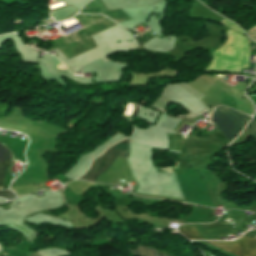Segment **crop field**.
I'll return each mask as SVG.
<instances>
[{"label":"crop field","instance_id":"10","mask_svg":"<svg viewBox=\"0 0 256 256\" xmlns=\"http://www.w3.org/2000/svg\"><path fill=\"white\" fill-rule=\"evenodd\" d=\"M0 196L6 197L8 199L14 198V194L10 191H0Z\"/></svg>","mask_w":256,"mask_h":256},{"label":"crop field","instance_id":"6","mask_svg":"<svg viewBox=\"0 0 256 256\" xmlns=\"http://www.w3.org/2000/svg\"><path fill=\"white\" fill-rule=\"evenodd\" d=\"M178 231L190 240H192V239L203 240L202 236L195 228L187 227V226H180L178 228Z\"/></svg>","mask_w":256,"mask_h":256},{"label":"crop field","instance_id":"12","mask_svg":"<svg viewBox=\"0 0 256 256\" xmlns=\"http://www.w3.org/2000/svg\"><path fill=\"white\" fill-rule=\"evenodd\" d=\"M29 256H40V255L35 252V253H33V254L29 255Z\"/></svg>","mask_w":256,"mask_h":256},{"label":"crop field","instance_id":"11","mask_svg":"<svg viewBox=\"0 0 256 256\" xmlns=\"http://www.w3.org/2000/svg\"><path fill=\"white\" fill-rule=\"evenodd\" d=\"M248 34L251 39L256 41V26L250 28Z\"/></svg>","mask_w":256,"mask_h":256},{"label":"crop field","instance_id":"1","mask_svg":"<svg viewBox=\"0 0 256 256\" xmlns=\"http://www.w3.org/2000/svg\"><path fill=\"white\" fill-rule=\"evenodd\" d=\"M250 50L245 37L229 30L227 41L213 52V61L206 71L234 72L246 68Z\"/></svg>","mask_w":256,"mask_h":256},{"label":"crop field","instance_id":"4","mask_svg":"<svg viewBox=\"0 0 256 256\" xmlns=\"http://www.w3.org/2000/svg\"><path fill=\"white\" fill-rule=\"evenodd\" d=\"M242 245L243 254L241 250V246L239 242ZM233 242H207L215 247H218L220 249H223L229 253H232L236 256H256V239L248 238V237H241Z\"/></svg>","mask_w":256,"mask_h":256},{"label":"crop field","instance_id":"9","mask_svg":"<svg viewBox=\"0 0 256 256\" xmlns=\"http://www.w3.org/2000/svg\"><path fill=\"white\" fill-rule=\"evenodd\" d=\"M221 23H223L225 26L230 27L231 29H234V30L244 34V32L240 28H238L234 23L226 20L225 18H222Z\"/></svg>","mask_w":256,"mask_h":256},{"label":"crop field","instance_id":"3","mask_svg":"<svg viewBox=\"0 0 256 256\" xmlns=\"http://www.w3.org/2000/svg\"><path fill=\"white\" fill-rule=\"evenodd\" d=\"M127 146L128 138L110 147L105 153L93 161L92 167L79 179L94 181L100 173L108 169L118 155L123 158L126 157Z\"/></svg>","mask_w":256,"mask_h":256},{"label":"crop field","instance_id":"5","mask_svg":"<svg viewBox=\"0 0 256 256\" xmlns=\"http://www.w3.org/2000/svg\"><path fill=\"white\" fill-rule=\"evenodd\" d=\"M14 156L9 149L0 143V186H3L6 170L13 163Z\"/></svg>","mask_w":256,"mask_h":256},{"label":"crop field","instance_id":"8","mask_svg":"<svg viewBox=\"0 0 256 256\" xmlns=\"http://www.w3.org/2000/svg\"><path fill=\"white\" fill-rule=\"evenodd\" d=\"M247 128H248L249 132L251 133V135L256 140V114H255L254 119L250 122V124Z\"/></svg>","mask_w":256,"mask_h":256},{"label":"crop field","instance_id":"7","mask_svg":"<svg viewBox=\"0 0 256 256\" xmlns=\"http://www.w3.org/2000/svg\"><path fill=\"white\" fill-rule=\"evenodd\" d=\"M132 253L140 256H156L155 250L150 247L139 246L137 250H130Z\"/></svg>","mask_w":256,"mask_h":256},{"label":"crop field","instance_id":"13","mask_svg":"<svg viewBox=\"0 0 256 256\" xmlns=\"http://www.w3.org/2000/svg\"><path fill=\"white\" fill-rule=\"evenodd\" d=\"M158 256H165V255L158 254Z\"/></svg>","mask_w":256,"mask_h":256},{"label":"crop field","instance_id":"2","mask_svg":"<svg viewBox=\"0 0 256 256\" xmlns=\"http://www.w3.org/2000/svg\"><path fill=\"white\" fill-rule=\"evenodd\" d=\"M248 119L244 114L218 107L213 114V125L226 134V139H232Z\"/></svg>","mask_w":256,"mask_h":256}]
</instances>
